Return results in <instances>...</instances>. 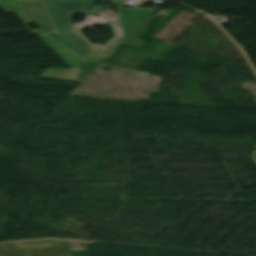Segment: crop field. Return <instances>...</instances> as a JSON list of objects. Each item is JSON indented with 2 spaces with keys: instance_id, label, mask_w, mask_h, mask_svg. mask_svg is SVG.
Masks as SVG:
<instances>
[{
  "instance_id": "crop-field-1",
  "label": "crop field",
  "mask_w": 256,
  "mask_h": 256,
  "mask_svg": "<svg viewBox=\"0 0 256 256\" xmlns=\"http://www.w3.org/2000/svg\"><path fill=\"white\" fill-rule=\"evenodd\" d=\"M46 8L55 32L38 35L73 69L49 68L40 77L83 82L111 54L92 49L75 31L69 16L86 14L95 4L92 0H40Z\"/></svg>"
},
{
  "instance_id": "crop-field-2",
  "label": "crop field",
  "mask_w": 256,
  "mask_h": 256,
  "mask_svg": "<svg viewBox=\"0 0 256 256\" xmlns=\"http://www.w3.org/2000/svg\"><path fill=\"white\" fill-rule=\"evenodd\" d=\"M0 256H70L67 241L32 240L0 244Z\"/></svg>"
},
{
  "instance_id": "crop-field-3",
  "label": "crop field",
  "mask_w": 256,
  "mask_h": 256,
  "mask_svg": "<svg viewBox=\"0 0 256 256\" xmlns=\"http://www.w3.org/2000/svg\"><path fill=\"white\" fill-rule=\"evenodd\" d=\"M158 9L157 8H119V18L114 23L117 37L108 45L119 48L133 35Z\"/></svg>"
},
{
  "instance_id": "crop-field-4",
  "label": "crop field",
  "mask_w": 256,
  "mask_h": 256,
  "mask_svg": "<svg viewBox=\"0 0 256 256\" xmlns=\"http://www.w3.org/2000/svg\"><path fill=\"white\" fill-rule=\"evenodd\" d=\"M5 13H16L32 35L53 31L43 9L1 6ZM36 22L40 29L31 30L26 23Z\"/></svg>"
},
{
  "instance_id": "crop-field-5",
  "label": "crop field",
  "mask_w": 256,
  "mask_h": 256,
  "mask_svg": "<svg viewBox=\"0 0 256 256\" xmlns=\"http://www.w3.org/2000/svg\"><path fill=\"white\" fill-rule=\"evenodd\" d=\"M157 17L152 16L133 36H131L126 42H124V45H127L144 27H146L128 46L136 47V48H142L145 46L148 42L139 40V38L149 29V25L155 21Z\"/></svg>"
},
{
  "instance_id": "crop-field-6",
  "label": "crop field",
  "mask_w": 256,
  "mask_h": 256,
  "mask_svg": "<svg viewBox=\"0 0 256 256\" xmlns=\"http://www.w3.org/2000/svg\"><path fill=\"white\" fill-rule=\"evenodd\" d=\"M97 50L113 54L117 49L106 46V47H104L102 49H97Z\"/></svg>"
},
{
  "instance_id": "crop-field-7",
  "label": "crop field",
  "mask_w": 256,
  "mask_h": 256,
  "mask_svg": "<svg viewBox=\"0 0 256 256\" xmlns=\"http://www.w3.org/2000/svg\"><path fill=\"white\" fill-rule=\"evenodd\" d=\"M6 1H29V2H39L38 0H6Z\"/></svg>"
}]
</instances>
